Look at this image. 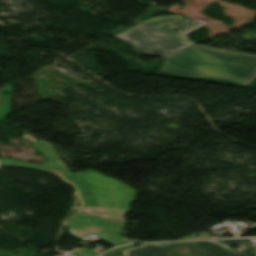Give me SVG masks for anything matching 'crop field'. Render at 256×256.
Here are the masks:
<instances>
[{"mask_svg": "<svg viewBox=\"0 0 256 256\" xmlns=\"http://www.w3.org/2000/svg\"><path fill=\"white\" fill-rule=\"evenodd\" d=\"M32 144L43 153L47 159L46 162L37 165L0 158L2 165L49 172L57 176L72 174L48 144L38 140L32 141ZM76 175L88 183L98 208L93 216L75 211L65 221V226L76 238H80L85 232H89L101 236L102 239L113 245H117L122 227L126 224L124 215L128 213L130 204L136 197L135 189L93 170L77 173Z\"/></svg>", "mask_w": 256, "mask_h": 256, "instance_id": "8a807250", "label": "crop field"}, {"mask_svg": "<svg viewBox=\"0 0 256 256\" xmlns=\"http://www.w3.org/2000/svg\"><path fill=\"white\" fill-rule=\"evenodd\" d=\"M156 75L195 81L207 77L247 85L256 78V57L191 46L166 56Z\"/></svg>", "mask_w": 256, "mask_h": 256, "instance_id": "ac0d7876", "label": "crop field"}, {"mask_svg": "<svg viewBox=\"0 0 256 256\" xmlns=\"http://www.w3.org/2000/svg\"><path fill=\"white\" fill-rule=\"evenodd\" d=\"M72 254L74 256H96V255H98L97 253H95L90 248H83L81 250H77V251L72 252Z\"/></svg>", "mask_w": 256, "mask_h": 256, "instance_id": "f4fd0767", "label": "crop field"}, {"mask_svg": "<svg viewBox=\"0 0 256 256\" xmlns=\"http://www.w3.org/2000/svg\"><path fill=\"white\" fill-rule=\"evenodd\" d=\"M0 167H1V164H0Z\"/></svg>", "mask_w": 256, "mask_h": 256, "instance_id": "d8731c3e", "label": "crop field"}, {"mask_svg": "<svg viewBox=\"0 0 256 256\" xmlns=\"http://www.w3.org/2000/svg\"><path fill=\"white\" fill-rule=\"evenodd\" d=\"M133 246H136V245H129V246L119 247V248H116V249H114V250H112V251H109V252H107V253H105V254H103V255H105V256H114V255H118V254L121 253V251H122L123 249L129 248V247H133Z\"/></svg>", "mask_w": 256, "mask_h": 256, "instance_id": "dd49c442", "label": "crop field"}, {"mask_svg": "<svg viewBox=\"0 0 256 256\" xmlns=\"http://www.w3.org/2000/svg\"><path fill=\"white\" fill-rule=\"evenodd\" d=\"M199 235H200L199 238L192 237V238H184V239H182V240L212 238V237H211L209 234H207V233L199 234Z\"/></svg>", "mask_w": 256, "mask_h": 256, "instance_id": "e52e79f7", "label": "crop field"}, {"mask_svg": "<svg viewBox=\"0 0 256 256\" xmlns=\"http://www.w3.org/2000/svg\"><path fill=\"white\" fill-rule=\"evenodd\" d=\"M166 25L169 27H165ZM203 26L205 25L180 14L151 18L115 36L138 53L166 56L194 45L185 35Z\"/></svg>", "mask_w": 256, "mask_h": 256, "instance_id": "34b2d1b8", "label": "crop field"}, {"mask_svg": "<svg viewBox=\"0 0 256 256\" xmlns=\"http://www.w3.org/2000/svg\"><path fill=\"white\" fill-rule=\"evenodd\" d=\"M230 247L240 246L237 253L228 247L212 241L143 244L123 251V256H256L252 239L218 240Z\"/></svg>", "mask_w": 256, "mask_h": 256, "instance_id": "412701ff", "label": "crop field"}]
</instances>
